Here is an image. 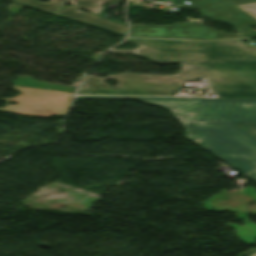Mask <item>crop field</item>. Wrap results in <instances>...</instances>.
I'll return each mask as SVG.
<instances>
[{
  "label": "crop field",
  "instance_id": "obj_1",
  "mask_svg": "<svg viewBox=\"0 0 256 256\" xmlns=\"http://www.w3.org/2000/svg\"><path fill=\"white\" fill-rule=\"evenodd\" d=\"M134 99L167 109L184 135L243 174L256 166V138L234 123H256V99L188 97L78 96Z\"/></svg>",
  "mask_w": 256,
  "mask_h": 256
},
{
  "label": "crop field",
  "instance_id": "obj_2",
  "mask_svg": "<svg viewBox=\"0 0 256 256\" xmlns=\"http://www.w3.org/2000/svg\"><path fill=\"white\" fill-rule=\"evenodd\" d=\"M175 75L158 76L125 72L107 78L119 84L112 87L107 78L85 75L76 94L100 95H174L186 81L206 78L208 87L217 97H256V66L180 65Z\"/></svg>",
  "mask_w": 256,
  "mask_h": 256
},
{
  "label": "crop field",
  "instance_id": "obj_3",
  "mask_svg": "<svg viewBox=\"0 0 256 256\" xmlns=\"http://www.w3.org/2000/svg\"><path fill=\"white\" fill-rule=\"evenodd\" d=\"M137 48L111 49L108 52L149 58L163 64H240L256 65V47L245 48L242 39L194 42L127 38Z\"/></svg>",
  "mask_w": 256,
  "mask_h": 256
},
{
  "label": "crop field",
  "instance_id": "obj_4",
  "mask_svg": "<svg viewBox=\"0 0 256 256\" xmlns=\"http://www.w3.org/2000/svg\"><path fill=\"white\" fill-rule=\"evenodd\" d=\"M12 89L21 93L7 101L0 112L35 116L49 117L52 115L64 116L70 102L72 93L47 91L23 86L13 85ZM10 101L17 102V105H9Z\"/></svg>",
  "mask_w": 256,
  "mask_h": 256
},
{
  "label": "crop field",
  "instance_id": "obj_5",
  "mask_svg": "<svg viewBox=\"0 0 256 256\" xmlns=\"http://www.w3.org/2000/svg\"><path fill=\"white\" fill-rule=\"evenodd\" d=\"M129 36L214 40L232 37H243V34H229L216 31L202 25H191L190 22H186L171 26L130 25Z\"/></svg>",
  "mask_w": 256,
  "mask_h": 256
},
{
  "label": "crop field",
  "instance_id": "obj_6",
  "mask_svg": "<svg viewBox=\"0 0 256 256\" xmlns=\"http://www.w3.org/2000/svg\"><path fill=\"white\" fill-rule=\"evenodd\" d=\"M193 7L200 13L217 20L221 15L229 16V19L223 18L222 22L233 25L238 33H249L247 28L249 25H256V20L243 13L226 0H211L193 5ZM231 20V21H228Z\"/></svg>",
  "mask_w": 256,
  "mask_h": 256
},
{
  "label": "crop field",
  "instance_id": "obj_7",
  "mask_svg": "<svg viewBox=\"0 0 256 256\" xmlns=\"http://www.w3.org/2000/svg\"><path fill=\"white\" fill-rule=\"evenodd\" d=\"M57 15L67 17L79 22H83L95 27H99L111 32H115L118 34H126L127 33V26L121 24H115L105 18L100 16H96L95 14L89 12L84 13L81 11L80 8L76 7H69L64 5L63 8L59 11Z\"/></svg>",
  "mask_w": 256,
  "mask_h": 256
},
{
  "label": "crop field",
  "instance_id": "obj_8",
  "mask_svg": "<svg viewBox=\"0 0 256 256\" xmlns=\"http://www.w3.org/2000/svg\"><path fill=\"white\" fill-rule=\"evenodd\" d=\"M17 3L24 4L26 6L36 8L52 14H57L62 6L69 0H50L51 2L42 3L38 0H9Z\"/></svg>",
  "mask_w": 256,
  "mask_h": 256
},
{
  "label": "crop field",
  "instance_id": "obj_9",
  "mask_svg": "<svg viewBox=\"0 0 256 256\" xmlns=\"http://www.w3.org/2000/svg\"><path fill=\"white\" fill-rule=\"evenodd\" d=\"M121 0H70L68 3L97 14L102 10V3H120Z\"/></svg>",
  "mask_w": 256,
  "mask_h": 256
},
{
  "label": "crop field",
  "instance_id": "obj_10",
  "mask_svg": "<svg viewBox=\"0 0 256 256\" xmlns=\"http://www.w3.org/2000/svg\"><path fill=\"white\" fill-rule=\"evenodd\" d=\"M236 7L256 19V2L236 5Z\"/></svg>",
  "mask_w": 256,
  "mask_h": 256
},
{
  "label": "crop field",
  "instance_id": "obj_11",
  "mask_svg": "<svg viewBox=\"0 0 256 256\" xmlns=\"http://www.w3.org/2000/svg\"><path fill=\"white\" fill-rule=\"evenodd\" d=\"M240 127L256 137V124H242Z\"/></svg>",
  "mask_w": 256,
  "mask_h": 256
},
{
  "label": "crop field",
  "instance_id": "obj_12",
  "mask_svg": "<svg viewBox=\"0 0 256 256\" xmlns=\"http://www.w3.org/2000/svg\"><path fill=\"white\" fill-rule=\"evenodd\" d=\"M227 1H229L233 5H236V4L252 2V1H256V0H227Z\"/></svg>",
  "mask_w": 256,
  "mask_h": 256
},
{
  "label": "crop field",
  "instance_id": "obj_13",
  "mask_svg": "<svg viewBox=\"0 0 256 256\" xmlns=\"http://www.w3.org/2000/svg\"><path fill=\"white\" fill-rule=\"evenodd\" d=\"M248 178H250L251 180H253L254 182H256V168L249 173L248 175H246Z\"/></svg>",
  "mask_w": 256,
  "mask_h": 256
},
{
  "label": "crop field",
  "instance_id": "obj_14",
  "mask_svg": "<svg viewBox=\"0 0 256 256\" xmlns=\"http://www.w3.org/2000/svg\"><path fill=\"white\" fill-rule=\"evenodd\" d=\"M192 4L194 3H198V2H202V1H206V0H189Z\"/></svg>",
  "mask_w": 256,
  "mask_h": 256
},
{
  "label": "crop field",
  "instance_id": "obj_15",
  "mask_svg": "<svg viewBox=\"0 0 256 256\" xmlns=\"http://www.w3.org/2000/svg\"><path fill=\"white\" fill-rule=\"evenodd\" d=\"M252 256H256V251L254 252V254Z\"/></svg>",
  "mask_w": 256,
  "mask_h": 256
}]
</instances>
